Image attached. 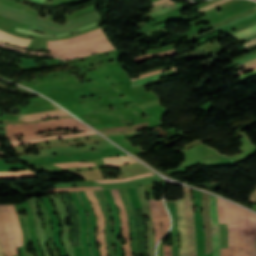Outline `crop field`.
Masks as SVG:
<instances>
[{"label":"crop field","instance_id":"crop-field-1","mask_svg":"<svg viewBox=\"0 0 256 256\" xmlns=\"http://www.w3.org/2000/svg\"><path fill=\"white\" fill-rule=\"evenodd\" d=\"M230 256H256V214L226 201Z\"/></svg>","mask_w":256,"mask_h":256},{"label":"crop field","instance_id":"crop-field-2","mask_svg":"<svg viewBox=\"0 0 256 256\" xmlns=\"http://www.w3.org/2000/svg\"><path fill=\"white\" fill-rule=\"evenodd\" d=\"M48 48L64 61L114 49L101 28L70 39L48 41Z\"/></svg>","mask_w":256,"mask_h":256},{"label":"crop field","instance_id":"crop-field-3","mask_svg":"<svg viewBox=\"0 0 256 256\" xmlns=\"http://www.w3.org/2000/svg\"><path fill=\"white\" fill-rule=\"evenodd\" d=\"M0 14L30 24V26L27 28L28 30H43L44 33L51 35L67 33L69 31L87 26L100 20L99 15L96 12H93L86 16H82L77 19L71 20L67 22L66 25H58L56 23L42 20L31 15L22 13L20 11L14 10L2 4H0Z\"/></svg>","mask_w":256,"mask_h":256},{"label":"crop field","instance_id":"crop-field-4","mask_svg":"<svg viewBox=\"0 0 256 256\" xmlns=\"http://www.w3.org/2000/svg\"><path fill=\"white\" fill-rule=\"evenodd\" d=\"M86 127L75 118L57 119L32 124L7 125V136L30 135L54 130L56 128L75 129ZM64 129V130H65Z\"/></svg>","mask_w":256,"mask_h":256},{"label":"crop field","instance_id":"crop-field-5","mask_svg":"<svg viewBox=\"0 0 256 256\" xmlns=\"http://www.w3.org/2000/svg\"><path fill=\"white\" fill-rule=\"evenodd\" d=\"M69 193L80 219V241L82 244L84 256H91L89 247H88V242H87V233H88L87 216L85 214L82 203L77 193L76 192H69Z\"/></svg>","mask_w":256,"mask_h":256},{"label":"crop field","instance_id":"crop-field-6","mask_svg":"<svg viewBox=\"0 0 256 256\" xmlns=\"http://www.w3.org/2000/svg\"><path fill=\"white\" fill-rule=\"evenodd\" d=\"M184 205H185V218H186V228H187V236H188V252H191L192 246V253H188V256H196V247H195V230H194V215L193 213H189L190 219V233H191V246H190V233H189V219H188V212H192L191 209V193L190 189L184 188Z\"/></svg>","mask_w":256,"mask_h":256},{"label":"crop field","instance_id":"crop-field-7","mask_svg":"<svg viewBox=\"0 0 256 256\" xmlns=\"http://www.w3.org/2000/svg\"><path fill=\"white\" fill-rule=\"evenodd\" d=\"M88 199L92 202V208L95 210L96 217H97V224H98V234H97V242L100 243L101 248H99L101 256H108L106 245H105V238H104V216L103 213L95 199L93 191H85Z\"/></svg>","mask_w":256,"mask_h":256},{"label":"crop field","instance_id":"crop-field-8","mask_svg":"<svg viewBox=\"0 0 256 256\" xmlns=\"http://www.w3.org/2000/svg\"><path fill=\"white\" fill-rule=\"evenodd\" d=\"M111 191H112L114 200H115L118 208L121 211L120 220H121V228H122V237L126 238L127 241L130 243V238H129V235H128V232H129L128 220H127L125 209L123 207L122 199H121L120 194H119V190L114 189V190H111ZM123 246H124L125 256H131V250H130L129 244H125Z\"/></svg>","mask_w":256,"mask_h":256},{"label":"crop field","instance_id":"crop-field-9","mask_svg":"<svg viewBox=\"0 0 256 256\" xmlns=\"http://www.w3.org/2000/svg\"><path fill=\"white\" fill-rule=\"evenodd\" d=\"M209 207H210V221L212 226V250H214L220 247L219 225H218V217H217V197L210 195Z\"/></svg>","mask_w":256,"mask_h":256},{"label":"crop field","instance_id":"crop-field-10","mask_svg":"<svg viewBox=\"0 0 256 256\" xmlns=\"http://www.w3.org/2000/svg\"><path fill=\"white\" fill-rule=\"evenodd\" d=\"M176 204H177V210H178L180 256H187L183 199L181 201H176Z\"/></svg>","mask_w":256,"mask_h":256},{"label":"crop field","instance_id":"crop-field-11","mask_svg":"<svg viewBox=\"0 0 256 256\" xmlns=\"http://www.w3.org/2000/svg\"><path fill=\"white\" fill-rule=\"evenodd\" d=\"M167 206L172 214L173 220V228L170 232L173 240L172 246V256H179V242H178V234H177V211L175 201H167Z\"/></svg>","mask_w":256,"mask_h":256},{"label":"crop field","instance_id":"crop-field-12","mask_svg":"<svg viewBox=\"0 0 256 256\" xmlns=\"http://www.w3.org/2000/svg\"><path fill=\"white\" fill-rule=\"evenodd\" d=\"M0 207L2 210L3 218H4V225L6 229V235H7L10 251L12 255H18L16 250V245H15L13 227L9 218L7 207L6 205H0Z\"/></svg>","mask_w":256,"mask_h":256},{"label":"crop field","instance_id":"crop-field-13","mask_svg":"<svg viewBox=\"0 0 256 256\" xmlns=\"http://www.w3.org/2000/svg\"><path fill=\"white\" fill-rule=\"evenodd\" d=\"M7 33V32H6ZM0 31V42L15 46L21 49H26L31 40L12 36Z\"/></svg>","mask_w":256,"mask_h":256},{"label":"crop field","instance_id":"crop-field-14","mask_svg":"<svg viewBox=\"0 0 256 256\" xmlns=\"http://www.w3.org/2000/svg\"><path fill=\"white\" fill-rule=\"evenodd\" d=\"M10 213V218L14 226L15 239L17 246H22V234L19 227L18 219L15 213L14 205H7Z\"/></svg>","mask_w":256,"mask_h":256},{"label":"crop field","instance_id":"crop-field-15","mask_svg":"<svg viewBox=\"0 0 256 256\" xmlns=\"http://www.w3.org/2000/svg\"><path fill=\"white\" fill-rule=\"evenodd\" d=\"M149 201H150L151 211L153 215V222H154V229H155V243H157L158 240L162 237L159 215H158L156 202L152 200H149Z\"/></svg>","mask_w":256,"mask_h":256},{"label":"crop field","instance_id":"crop-field-16","mask_svg":"<svg viewBox=\"0 0 256 256\" xmlns=\"http://www.w3.org/2000/svg\"><path fill=\"white\" fill-rule=\"evenodd\" d=\"M66 173H69L71 175L77 176V177L85 179V180L104 179L101 176L99 169L81 171V172H66ZM108 179H113V178H108Z\"/></svg>","mask_w":256,"mask_h":256},{"label":"crop field","instance_id":"crop-field-17","mask_svg":"<svg viewBox=\"0 0 256 256\" xmlns=\"http://www.w3.org/2000/svg\"><path fill=\"white\" fill-rule=\"evenodd\" d=\"M89 134H95V133L93 131H91V132L76 133V134H71V135H57V136H51V137H46V138L36 139V140H30V141H12V144H13V146H17V145L24 144V143H35V142L50 140V139H54V138L85 136V135H89Z\"/></svg>","mask_w":256,"mask_h":256},{"label":"crop field","instance_id":"crop-field-18","mask_svg":"<svg viewBox=\"0 0 256 256\" xmlns=\"http://www.w3.org/2000/svg\"><path fill=\"white\" fill-rule=\"evenodd\" d=\"M176 74H178L177 71H170V72H166V73L156 74V75L150 76L148 78L132 82L131 87L142 85V84L149 83V82H153L156 80H160L162 77L172 76V75H176Z\"/></svg>","mask_w":256,"mask_h":256},{"label":"crop field","instance_id":"crop-field-19","mask_svg":"<svg viewBox=\"0 0 256 256\" xmlns=\"http://www.w3.org/2000/svg\"><path fill=\"white\" fill-rule=\"evenodd\" d=\"M104 159L107 163V166L124 165L126 163H136V161L132 159L130 156L104 158Z\"/></svg>","mask_w":256,"mask_h":256},{"label":"crop field","instance_id":"crop-field-20","mask_svg":"<svg viewBox=\"0 0 256 256\" xmlns=\"http://www.w3.org/2000/svg\"><path fill=\"white\" fill-rule=\"evenodd\" d=\"M37 176L30 170L16 171V172H0V178H19V177H30Z\"/></svg>","mask_w":256,"mask_h":256},{"label":"crop field","instance_id":"crop-field-21","mask_svg":"<svg viewBox=\"0 0 256 256\" xmlns=\"http://www.w3.org/2000/svg\"><path fill=\"white\" fill-rule=\"evenodd\" d=\"M159 207V213H160V218H161V223H162V233L164 234L169 226V218L168 215L164 209L162 200L156 201Z\"/></svg>","mask_w":256,"mask_h":256},{"label":"crop field","instance_id":"crop-field-22","mask_svg":"<svg viewBox=\"0 0 256 256\" xmlns=\"http://www.w3.org/2000/svg\"><path fill=\"white\" fill-rule=\"evenodd\" d=\"M78 131H87L90 130L89 128H85V129H75ZM74 130H70V131H55V132H49V133H44V134H38V135H34V136H24V137H15L16 139H12L14 137L11 138H7L8 140H17V139H33V138H37V137H42V136H46V135H55V134H66V133H71Z\"/></svg>","mask_w":256,"mask_h":256},{"label":"crop field","instance_id":"crop-field-23","mask_svg":"<svg viewBox=\"0 0 256 256\" xmlns=\"http://www.w3.org/2000/svg\"><path fill=\"white\" fill-rule=\"evenodd\" d=\"M0 238H1V242H2V246H3L5 256H11V254L9 252L8 244H7L6 235H5V230H4V226H3V218H2V215H1V211H0Z\"/></svg>","mask_w":256,"mask_h":256},{"label":"crop field","instance_id":"crop-field-24","mask_svg":"<svg viewBox=\"0 0 256 256\" xmlns=\"http://www.w3.org/2000/svg\"><path fill=\"white\" fill-rule=\"evenodd\" d=\"M182 52H185V51H178L176 49H173V50H169L167 52L158 53V54H160V56H167V55H172V54H177V53H182ZM155 55L156 54L145 55V56H141V57L131 59V61H135V62L139 63V62L145 61V60L153 58V57H160V56H155Z\"/></svg>","mask_w":256,"mask_h":256},{"label":"crop field","instance_id":"crop-field-25","mask_svg":"<svg viewBox=\"0 0 256 256\" xmlns=\"http://www.w3.org/2000/svg\"><path fill=\"white\" fill-rule=\"evenodd\" d=\"M102 189L100 186L97 187H72V188H58V189H49L46 192H66V191H81V190H98Z\"/></svg>","mask_w":256,"mask_h":256},{"label":"crop field","instance_id":"crop-field-26","mask_svg":"<svg viewBox=\"0 0 256 256\" xmlns=\"http://www.w3.org/2000/svg\"><path fill=\"white\" fill-rule=\"evenodd\" d=\"M219 223H226L225 201L218 198Z\"/></svg>","mask_w":256,"mask_h":256},{"label":"crop field","instance_id":"crop-field-27","mask_svg":"<svg viewBox=\"0 0 256 256\" xmlns=\"http://www.w3.org/2000/svg\"><path fill=\"white\" fill-rule=\"evenodd\" d=\"M147 125H148V123L145 122V123L133 125V126H130V127L106 128V129H99V131L106 132V131H115V130H128V129H135V128L144 127V126H147Z\"/></svg>","mask_w":256,"mask_h":256},{"label":"crop field","instance_id":"crop-field-28","mask_svg":"<svg viewBox=\"0 0 256 256\" xmlns=\"http://www.w3.org/2000/svg\"><path fill=\"white\" fill-rule=\"evenodd\" d=\"M181 5H183V4L177 3V4H174V5H172V6H169V7L160 9V10H157V11H155V12H152V13L147 14V15L145 16V18L147 19V18L153 17V16H155V15H158V14H161V13H164V12H167V11H170V10H173V9H175V8L181 6Z\"/></svg>","mask_w":256,"mask_h":256},{"label":"crop field","instance_id":"crop-field-29","mask_svg":"<svg viewBox=\"0 0 256 256\" xmlns=\"http://www.w3.org/2000/svg\"><path fill=\"white\" fill-rule=\"evenodd\" d=\"M99 24H100V22L95 23V24H92V25H89V26H87V27H84V28H81V29H78V30H75V31H73V32L81 31V30H84V29H87V28H90V27H93V26H96V25H99ZM15 30H16V31H20V32H24V33L33 34V35H38V36L53 37V36H49V35H40V34L35 33V32H33V31H27V30L19 29V28H16ZM73 32H71V33H73ZM71 33H69V34H71ZM66 35H68V34H66ZM60 36H64V35H60Z\"/></svg>","mask_w":256,"mask_h":256},{"label":"crop field","instance_id":"crop-field-30","mask_svg":"<svg viewBox=\"0 0 256 256\" xmlns=\"http://www.w3.org/2000/svg\"><path fill=\"white\" fill-rule=\"evenodd\" d=\"M63 168H70V167H86V166H93L95 165L94 162L91 163H81V162H76V163H66V164H57Z\"/></svg>","mask_w":256,"mask_h":256},{"label":"crop field","instance_id":"crop-field-31","mask_svg":"<svg viewBox=\"0 0 256 256\" xmlns=\"http://www.w3.org/2000/svg\"><path fill=\"white\" fill-rule=\"evenodd\" d=\"M254 32H256V26L251 27V28H248V29H246V30H243V31H241V32H239V33H236V34H233V35H231V36H232L233 38H235V39H238V38H241V37H243V36L252 34V33H254Z\"/></svg>","mask_w":256,"mask_h":256},{"label":"crop field","instance_id":"crop-field-32","mask_svg":"<svg viewBox=\"0 0 256 256\" xmlns=\"http://www.w3.org/2000/svg\"><path fill=\"white\" fill-rule=\"evenodd\" d=\"M254 58H256V54H255V55H252V56H250V57H247V58H245V59H242V60H240V61H237V62H235V63H232V64H230V65L224 67L223 69H225V70L228 71V70H230V69H232V68H234V67H236V66H238V65H240V64L246 63V62H248V61H250V60H252V59H254Z\"/></svg>","mask_w":256,"mask_h":256},{"label":"crop field","instance_id":"crop-field-33","mask_svg":"<svg viewBox=\"0 0 256 256\" xmlns=\"http://www.w3.org/2000/svg\"><path fill=\"white\" fill-rule=\"evenodd\" d=\"M150 175H153V174L152 173H148V174L138 175V176H134V177L126 178V179L105 180V181H98V182H100V183H109V182L131 181V180H134V179L139 178V177H145V176H150Z\"/></svg>","mask_w":256,"mask_h":256},{"label":"crop field","instance_id":"crop-field-34","mask_svg":"<svg viewBox=\"0 0 256 256\" xmlns=\"http://www.w3.org/2000/svg\"><path fill=\"white\" fill-rule=\"evenodd\" d=\"M162 31H166V32L158 33V34H154V35L151 34V33L162 32ZM166 33H168L166 28H162V29H158V30H154V31L146 32V33H141L138 35H143V34H148V35L142 36V37L138 38L137 40L142 39V38H147V37H153L155 35L158 36V35H162V34H166ZM135 36H137V35H135Z\"/></svg>","mask_w":256,"mask_h":256},{"label":"crop field","instance_id":"crop-field-35","mask_svg":"<svg viewBox=\"0 0 256 256\" xmlns=\"http://www.w3.org/2000/svg\"><path fill=\"white\" fill-rule=\"evenodd\" d=\"M54 114H66V113L64 111H62V110H59V111H54V112H50V113H43V114H36V115L25 116V119L41 117V116H47V115H54Z\"/></svg>","mask_w":256,"mask_h":256},{"label":"crop field","instance_id":"crop-field-36","mask_svg":"<svg viewBox=\"0 0 256 256\" xmlns=\"http://www.w3.org/2000/svg\"><path fill=\"white\" fill-rule=\"evenodd\" d=\"M0 47L11 49V50H15V51H19V52H23V53H29V54L51 55L50 53H38V52H30V51L18 50V49L12 48L10 46H7V45L1 44V43H0Z\"/></svg>","mask_w":256,"mask_h":256},{"label":"crop field","instance_id":"crop-field-37","mask_svg":"<svg viewBox=\"0 0 256 256\" xmlns=\"http://www.w3.org/2000/svg\"><path fill=\"white\" fill-rule=\"evenodd\" d=\"M226 1H228V0H220V1L216 2V3H214V4H211V5H209V6L205 7V8H202V9L197 10V11H198V13L203 12V11L211 9V8L217 6V5H220V4H222V3L226 2Z\"/></svg>","mask_w":256,"mask_h":256},{"label":"crop field","instance_id":"crop-field-38","mask_svg":"<svg viewBox=\"0 0 256 256\" xmlns=\"http://www.w3.org/2000/svg\"><path fill=\"white\" fill-rule=\"evenodd\" d=\"M254 68H256V64L251 65V66H249V67H246V68H244V69L238 71V72L235 73L234 75L239 76V75H241V74H243V73H245V72H247V71H250V70H252V69H254Z\"/></svg>","mask_w":256,"mask_h":256},{"label":"crop field","instance_id":"crop-field-39","mask_svg":"<svg viewBox=\"0 0 256 256\" xmlns=\"http://www.w3.org/2000/svg\"><path fill=\"white\" fill-rule=\"evenodd\" d=\"M255 44H256V39L244 43L243 46H242V51H244V50L250 48L251 46H253V45H255Z\"/></svg>","mask_w":256,"mask_h":256},{"label":"crop field","instance_id":"crop-field-40","mask_svg":"<svg viewBox=\"0 0 256 256\" xmlns=\"http://www.w3.org/2000/svg\"><path fill=\"white\" fill-rule=\"evenodd\" d=\"M171 4H174V2H172V1L165 2V3L161 4V5L152 7V8H151V11H154V10H157V9H160V8H163V7L168 6V5H171Z\"/></svg>","mask_w":256,"mask_h":256},{"label":"crop field","instance_id":"crop-field-41","mask_svg":"<svg viewBox=\"0 0 256 256\" xmlns=\"http://www.w3.org/2000/svg\"><path fill=\"white\" fill-rule=\"evenodd\" d=\"M175 69H176V68H171V70H175ZM165 70H166V69H165ZM167 71H169V70H167ZM160 72H165V71H164V70H161V71H156V72L144 74V75H141L139 78H134V79H131V80L133 81V80L141 79V78L147 77V76H149V75L156 74V73H160Z\"/></svg>","mask_w":256,"mask_h":256},{"label":"crop field","instance_id":"crop-field-42","mask_svg":"<svg viewBox=\"0 0 256 256\" xmlns=\"http://www.w3.org/2000/svg\"><path fill=\"white\" fill-rule=\"evenodd\" d=\"M164 256H171V246H166L164 244Z\"/></svg>","mask_w":256,"mask_h":256},{"label":"crop field","instance_id":"crop-field-43","mask_svg":"<svg viewBox=\"0 0 256 256\" xmlns=\"http://www.w3.org/2000/svg\"><path fill=\"white\" fill-rule=\"evenodd\" d=\"M255 200H256V190L251 194V196L247 202L254 203Z\"/></svg>","mask_w":256,"mask_h":256},{"label":"crop field","instance_id":"crop-field-44","mask_svg":"<svg viewBox=\"0 0 256 256\" xmlns=\"http://www.w3.org/2000/svg\"><path fill=\"white\" fill-rule=\"evenodd\" d=\"M254 63H256V60L250 61V62H248V63H246V64H243V65H241V66H239V67H236L235 69L239 70V69H241V68H243V67H246V66L251 65V64H254Z\"/></svg>","mask_w":256,"mask_h":256},{"label":"crop field","instance_id":"crop-field-45","mask_svg":"<svg viewBox=\"0 0 256 256\" xmlns=\"http://www.w3.org/2000/svg\"><path fill=\"white\" fill-rule=\"evenodd\" d=\"M254 73H256V69H255V71L252 72V73H247V74H245V75L239 77L240 82H241L242 80H244L246 77H248V76H250V75H252V74H254Z\"/></svg>","mask_w":256,"mask_h":256},{"label":"crop field","instance_id":"crop-field-46","mask_svg":"<svg viewBox=\"0 0 256 256\" xmlns=\"http://www.w3.org/2000/svg\"><path fill=\"white\" fill-rule=\"evenodd\" d=\"M56 116H65V115H54V116H47V117L36 118V119H31V120H38V119H44V118H50V117H56ZM31 120H24V121H31Z\"/></svg>","mask_w":256,"mask_h":256},{"label":"crop field","instance_id":"crop-field-47","mask_svg":"<svg viewBox=\"0 0 256 256\" xmlns=\"http://www.w3.org/2000/svg\"><path fill=\"white\" fill-rule=\"evenodd\" d=\"M165 1H168V0H158V1L153 2V3H150V4H152L153 6H155V5H157V4H159V3H162V2H165Z\"/></svg>","mask_w":256,"mask_h":256},{"label":"crop field","instance_id":"crop-field-48","mask_svg":"<svg viewBox=\"0 0 256 256\" xmlns=\"http://www.w3.org/2000/svg\"><path fill=\"white\" fill-rule=\"evenodd\" d=\"M104 134H106V135H115V134H120V132L119 131L118 132H107V133H104Z\"/></svg>","mask_w":256,"mask_h":256},{"label":"crop field","instance_id":"crop-field-49","mask_svg":"<svg viewBox=\"0 0 256 256\" xmlns=\"http://www.w3.org/2000/svg\"><path fill=\"white\" fill-rule=\"evenodd\" d=\"M213 256H220V249L213 252Z\"/></svg>","mask_w":256,"mask_h":256},{"label":"crop field","instance_id":"crop-field-50","mask_svg":"<svg viewBox=\"0 0 256 256\" xmlns=\"http://www.w3.org/2000/svg\"><path fill=\"white\" fill-rule=\"evenodd\" d=\"M0 256H4L3 251H2V247H1V243H0Z\"/></svg>","mask_w":256,"mask_h":256},{"label":"crop field","instance_id":"crop-field-51","mask_svg":"<svg viewBox=\"0 0 256 256\" xmlns=\"http://www.w3.org/2000/svg\"><path fill=\"white\" fill-rule=\"evenodd\" d=\"M31 1H35V2H38V3H43L44 0H31Z\"/></svg>","mask_w":256,"mask_h":256},{"label":"crop field","instance_id":"crop-field-52","mask_svg":"<svg viewBox=\"0 0 256 256\" xmlns=\"http://www.w3.org/2000/svg\"><path fill=\"white\" fill-rule=\"evenodd\" d=\"M253 35H256V33H254V34H252V35H249V36H246V37H244V38L238 39V41H240V40H242V39H245V38H247V37L253 36Z\"/></svg>","mask_w":256,"mask_h":256},{"label":"crop field","instance_id":"crop-field-53","mask_svg":"<svg viewBox=\"0 0 256 256\" xmlns=\"http://www.w3.org/2000/svg\"><path fill=\"white\" fill-rule=\"evenodd\" d=\"M252 38H256V36H254V37H250V38H247V39H245V40L241 41L240 43H242V42H244V41H246V40L252 39Z\"/></svg>","mask_w":256,"mask_h":256},{"label":"crop field","instance_id":"crop-field-54","mask_svg":"<svg viewBox=\"0 0 256 256\" xmlns=\"http://www.w3.org/2000/svg\"><path fill=\"white\" fill-rule=\"evenodd\" d=\"M0 155H3V153H2V152H0Z\"/></svg>","mask_w":256,"mask_h":256},{"label":"crop field","instance_id":"crop-field-55","mask_svg":"<svg viewBox=\"0 0 256 256\" xmlns=\"http://www.w3.org/2000/svg\"><path fill=\"white\" fill-rule=\"evenodd\" d=\"M254 9H256V8H254Z\"/></svg>","mask_w":256,"mask_h":256}]
</instances>
